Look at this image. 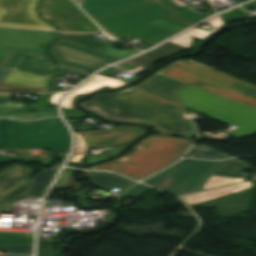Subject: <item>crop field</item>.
<instances>
[{"label":"crop field","mask_w":256,"mask_h":256,"mask_svg":"<svg viewBox=\"0 0 256 256\" xmlns=\"http://www.w3.org/2000/svg\"><path fill=\"white\" fill-rule=\"evenodd\" d=\"M158 73L256 109V87L196 61L177 60Z\"/></svg>","instance_id":"obj_4"},{"label":"crop field","mask_w":256,"mask_h":256,"mask_svg":"<svg viewBox=\"0 0 256 256\" xmlns=\"http://www.w3.org/2000/svg\"><path fill=\"white\" fill-rule=\"evenodd\" d=\"M57 170L58 168H53L45 171L39 175H36L33 179L23 183L17 189L0 200V211H10V206L12 203L20 198H24L23 196L31 190L30 182H32L33 191L30 194L28 193L29 195H27L25 198L42 197Z\"/></svg>","instance_id":"obj_14"},{"label":"crop field","mask_w":256,"mask_h":256,"mask_svg":"<svg viewBox=\"0 0 256 256\" xmlns=\"http://www.w3.org/2000/svg\"><path fill=\"white\" fill-rule=\"evenodd\" d=\"M38 256H53L49 245H38Z\"/></svg>","instance_id":"obj_40"},{"label":"crop field","mask_w":256,"mask_h":256,"mask_svg":"<svg viewBox=\"0 0 256 256\" xmlns=\"http://www.w3.org/2000/svg\"><path fill=\"white\" fill-rule=\"evenodd\" d=\"M24 149H52L53 153H67L69 134L59 118L21 122Z\"/></svg>","instance_id":"obj_7"},{"label":"crop field","mask_w":256,"mask_h":256,"mask_svg":"<svg viewBox=\"0 0 256 256\" xmlns=\"http://www.w3.org/2000/svg\"><path fill=\"white\" fill-rule=\"evenodd\" d=\"M51 80V78L11 69L2 82L10 84L47 87L48 83Z\"/></svg>","instance_id":"obj_21"},{"label":"crop field","mask_w":256,"mask_h":256,"mask_svg":"<svg viewBox=\"0 0 256 256\" xmlns=\"http://www.w3.org/2000/svg\"><path fill=\"white\" fill-rule=\"evenodd\" d=\"M49 49L58 63L90 72L120 60L59 39Z\"/></svg>","instance_id":"obj_9"},{"label":"crop field","mask_w":256,"mask_h":256,"mask_svg":"<svg viewBox=\"0 0 256 256\" xmlns=\"http://www.w3.org/2000/svg\"><path fill=\"white\" fill-rule=\"evenodd\" d=\"M66 118H73V117H88V115L77 112V111H63Z\"/></svg>","instance_id":"obj_41"},{"label":"crop field","mask_w":256,"mask_h":256,"mask_svg":"<svg viewBox=\"0 0 256 256\" xmlns=\"http://www.w3.org/2000/svg\"><path fill=\"white\" fill-rule=\"evenodd\" d=\"M35 115H40L41 117L44 116H52V115H57L55 111H46V112H22V113H4L0 114V116H10V117H15L22 119L24 117H29V116H35Z\"/></svg>","instance_id":"obj_35"},{"label":"crop field","mask_w":256,"mask_h":256,"mask_svg":"<svg viewBox=\"0 0 256 256\" xmlns=\"http://www.w3.org/2000/svg\"><path fill=\"white\" fill-rule=\"evenodd\" d=\"M18 160H24L25 162H29V161H32V160H38V161H40L41 163H46V164L53 162L52 159L40 160V159H36V158H32V157H27V156H22V157H21L20 159H18Z\"/></svg>","instance_id":"obj_42"},{"label":"crop field","mask_w":256,"mask_h":256,"mask_svg":"<svg viewBox=\"0 0 256 256\" xmlns=\"http://www.w3.org/2000/svg\"><path fill=\"white\" fill-rule=\"evenodd\" d=\"M193 141L166 135L148 137L137 144L132 154L88 168L114 171L142 180L179 159Z\"/></svg>","instance_id":"obj_3"},{"label":"crop field","mask_w":256,"mask_h":256,"mask_svg":"<svg viewBox=\"0 0 256 256\" xmlns=\"http://www.w3.org/2000/svg\"><path fill=\"white\" fill-rule=\"evenodd\" d=\"M151 187H147L144 185H136L133 188L127 190L126 192L122 193L128 197H133V198H137L140 195H142L144 192H146L147 190H149Z\"/></svg>","instance_id":"obj_37"},{"label":"crop field","mask_w":256,"mask_h":256,"mask_svg":"<svg viewBox=\"0 0 256 256\" xmlns=\"http://www.w3.org/2000/svg\"><path fill=\"white\" fill-rule=\"evenodd\" d=\"M134 3L121 0H84L82 7L93 17Z\"/></svg>","instance_id":"obj_20"},{"label":"crop field","mask_w":256,"mask_h":256,"mask_svg":"<svg viewBox=\"0 0 256 256\" xmlns=\"http://www.w3.org/2000/svg\"><path fill=\"white\" fill-rule=\"evenodd\" d=\"M183 50L187 49L168 42L158 47L157 49H154L140 57L134 58L129 61L147 67L170 53L179 52Z\"/></svg>","instance_id":"obj_22"},{"label":"crop field","mask_w":256,"mask_h":256,"mask_svg":"<svg viewBox=\"0 0 256 256\" xmlns=\"http://www.w3.org/2000/svg\"><path fill=\"white\" fill-rule=\"evenodd\" d=\"M245 179L240 178H228V177H216V176H210L206 184L204 185L203 189L211 188V187H217V186H223V185H229L234 184L236 182L244 181Z\"/></svg>","instance_id":"obj_30"},{"label":"crop field","mask_w":256,"mask_h":256,"mask_svg":"<svg viewBox=\"0 0 256 256\" xmlns=\"http://www.w3.org/2000/svg\"><path fill=\"white\" fill-rule=\"evenodd\" d=\"M186 108L238 126L231 132L236 138L256 134V109L227 100L194 87L178 91Z\"/></svg>","instance_id":"obj_5"},{"label":"crop field","mask_w":256,"mask_h":256,"mask_svg":"<svg viewBox=\"0 0 256 256\" xmlns=\"http://www.w3.org/2000/svg\"><path fill=\"white\" fill-rule=\"evenodd\" d=\"M2 197H0V199H1Z\"/></svg>","instance_id":"obj_51"},{"label":"crop field","mask_w":256,"mask_h":256,"mask_svg":"<svg viewBox=\"0 0 256 256\" xmlns=\"http://www.w3.org/2000/svg\"><path fill=\"white\" fill-rule=\"evenodd\" d=\"M29 111L25 103L21 102H0V113Z\"/></svg>","instance_id":"obj_32"},{"label":"crop field","mask_w":256,"mask_h":256,"mask_svg":"<svg viewBox=\"0 0 256 256\" xmlns=\"http://www.w3.org/2000/svg\"><path fill=\"white\" fill-rule=\"evenodd\" d=\"M85 154H86V153H84V154L74 155V156H72V158H71V160H70V161H72V162H76V163H80V162H82V161H80V160H81V158H82Z\"/></svg>","instance_id":"obj_45"},{"label":"crop field","mask_w":256,"mask_h":256,"mask_svg":"<svg viewBox=\"0 0 256 256\" xmlns=\"http://www.w3.org/2000/svg\"><path fill=\"white\" fill-rule=\"evenodd\" d=\"M1 66L54 78L60 69L48 56L8 51ZM64 70L88 76V72L58 64Z\"/></svg>","instance_id":"obj_12"},{"label":"crop field","mask_w":256,"mask_h":256,"mask_svg":"<svg viewBox=\"0 0 256 256\" xmlns=\"http://www.w3.org/2000/svg\"><path fill=\"white\" fill-rule=\"evenodd\" d=\"M86 176L94 186L106 189L108 191L112 190L115 187L124 190L129 186L135 184L132 181L121 178L115 174L106 172L87 171Z\"/></svg>","instance_id":"obj_19"},{"label":"crop field","mask_w":256,"mask_h":256,"mask_svg":"<svg viewBox=\"0 0 256 256\" xmlns=\"http://www.w3.org/2000/svg\"><path fill=\"white\" fill-rule=\"evenodd\" d=\"M95 51L102 52V53H105V54H108V55H111V56H114V57H117V58H120V59H123L125 57H128V56L134 54V53L139 52V51H137L135 49H133V50H126V51H118L117 49H115L112 46L101 48V49H97Z\"/></svg>","instance_id":"obj_33"},{"label":"crop field","mask_w":256,"mask_h":256,"mask_svg":"<svg viewBox=\"0 0 256 256\" xmlns=\"http://www.w3.org/2000/svg\"><path fill=\"white\" fill-rule=\"evenodd\" d=\"M206 23L214 26V28L210 31L194 28V29L186 32V34H189L191 36L205 40L211 33L215 32L218 27L224 26V22H223L221 16H218Z\"/></svg>","instance_id":"obj_27"},{"label":"crop field","mask_w":256,"mask_h":256,"mask_svg":"<svg viewBox=\"0 0 256 256\" xmlns=\"http://www.w3.org/2000/svg\"><path fill=\"white\" fill-rule=\"evenodd\" d=\"M184 85L156 73L120 92L96 95L81 106L108 120L144 123L160 133L193 137V126L184 120L173 93Z\"/></svg>","instance_id":"obj_1"},{"label":"crop field","mask_w":256,"mask_h":256,"mask_svg":"<svg viewBox=\"0 0 256 256\" xmlns=\"http://www.w3.org/2000/svg\"><path fill=\"white\" fill-rule=\"evenodd\" d=\"M10 160L0 158V163H8Z\"/></svg>","instance_id":"obj_47"},{"label":"crop field","mask_w":256,"mask_h":256,"mask_svg":"<svg viewBox=\"0 0 256 256\" xmlns=\"http://www.w3.org/2000/svg\"><path fill=\"white\" fill-rule=\"evenodd\" d=\"M58 38L90 48L97 49L105 46H109V44L94 34H65L58 33Z\"/></svg>","instance_id":"obj_24"},{"label":"crop field","mask_w":256,"mask_h":256,"mask_svg":"<svg viewBox=\"0 0 256 256\" xmlns=\"http://www.w3.org/2000/svg\"><path fill=\"white\" fill-rule=\"evenodd\" d=\"M36 7L37 0H0V26L56 30L38 17Z\"/></svg>","instance_id":"obj_11"},{"label":"crop field","mask_w":256,"mask_h":256,"mask_svg":"<svg viewBox=\"0 0 256 256\" xmlns=\"http://www.w3.org/2000/svg\"><path fill=\"white\" fill-rule=\"evenodd\" d=\"M239 3H241V2H243V1H245V0H237Z\"/></svg>","instance_id":"obj_50"},{"label":"crop field","mask_w":256,"mask_h":256,"mask_svg":"<svg viewBox=\"0 0 256 256\" xmlns=\"http://www.w3.org/2000/svg\"><path fill=\"white\" fill-rule=\"evenodd\" d=\"M23 149L20 124L18 120L0 118V150ZM1 157L17 160L19 157L1 155Z\"/></svg>","instance_id":"obj_15"},{"label":"crop field","mask_w":256,"mask_h":256,"mask_svg":"<svg viewBox=\"0 0 256 256\" xmlns=\"http://www.w3.org/2000/svg\"><path fill=\"white\" fill-rule=\"evenodd\" d=\"M33 233L0 232V246L32 244Z\"/></svg>","instance_id":"obj_26"},{"label":"crop field","mask_w":256,"mask_h":256,"mask_svg":"<svg viewBox=\"0 0 256 256\" xmlns=\"http://www.w3.org/2000/svg\"><path fill=\"white\" fill-rule=\"evenodd\" d=\"M192 39H193V37H191V36H188L186 34H181L180 36L170 40V42H173L175 44H178V45H181L183 47L189 48Z\"/></svg>","instance_id":"obj_38"},{"label":"crop field","mask_w":256,"mask_h":256,"mask_svg":"<svg viewBox=\"0 0 256 256\" xmlns=\"http://www.w3.org/2000/svg\"><path fill=\"white\" fill-rule=\"evenodd\" d=\"M249 188H251V181L241 183L238 185H234V186H230V187H225V188H220V189H215V190H210V191H205V192H200V193L182 195L181 197L185 200V202L189 206H191L194 204H198V203H201L204 201H208L211 199H215L218 197L236 193V192L246 190Z\"/></svg>","instance_id":"obj_18"},{"label":"crop field","mask_w":256,"mask_h":256,"mask_svg":"<svg viewBox=\"0 0 256 256\" xmlns=\"http://www.w3.org/2000/svg\"><path fill=\"white\" fill-rule=\"evenodd\" d=\"M0 100H6V95H0Z\"/></svg>","instance_id":"obj_48"},{"label":"crop field","mask_w":256,"mask_h":256,"mask_svg":"<svg viewBox=\"0 0 256 256\" xmlns=\"http://www.w3.org/2000/svg\"><path fill=\"white\" fill-rule=\"evenodd\" d=\"M144 133V130L135 126H119L115 129L79 133L88 142L89 147L114 146L125 144Z\"/></svg>","instance_id":"obj_13"},{"label":"crop field","mask_w":256,"mask_h":256,"mask_svg":"<svg viewBox=\"0 0 256 256\" xmlns=\"http://www.w3.org/2000/svg\"><path fill=\"white\" fill-rule=\"evenodd\" d=\"M0 251H8V254H32V245L5 246Z\"/></svg>","instance_id":"obj_34"},{"label":"crop field","mask_w":256,"mask_h":256,"mask_svg":"<svg viewBox=\"0 0 256 256\" xmlns=\"http://www.w3.org/2000/svg\"><path fill=\"white\" fill-rule=\"evenodd\" d=\"M41 17L58 30L102 32L71 0L40 2Z\"/></svg>","instance_id":"obj_8"},{"label":"crop field","mask_w":256,"mask_h":256,"mask_svg":"<svg viewBox=\"0 0 256 256\" xmlns=\"http://www.w3.org/2000/svg\"><path fill=\"white\" fill-rule=\"evenodd\" d=\"M29 168L15 165L0 174V196L4 197L23 182L29 180Z\"/></svg>","instance_id":"obj_17"},{"label":"crop field","mask_w":256,"mask_h":256,"mask_svg":"<svg viewBox=\"0 0 256 256\" xmlns=\"http://www.w3.org/2000/svg\"><path fill=\"white\" fill-rule=\"evenodd\" d=\"M248 164L237 159L220 162L212 175L245 178Z\"/></svg>","instance_id":"obj_23"},{"label":"crop field","mask_w":256,"mask_h":256,"mask_svg":"<svg viewBox=\"0 0 256 256\" xmlns=\"http://www.w3.org/2000/svg\"><path fill=\"white\" fill-rule=\"evenodd\" d=\"M176 12L158 0H146L93 19L117 39L135 38L153 45L191 25L172 15Z\"/></svg>","instance_id":"obj_2"},{"label":"crop field","mask_w":256,"mask_h":256,"mask_svg":"<svg viewBox=\"0 0 256 256\" xmlns=\"http://www.w3.org/2000/svg\"><path fill=\"white\" fill-rule=\"evenodd\" d=\"M125 84L127 83L96 74L90 80H88L85 84H83L81 87L69 93L65 97L62 107L67 109H74L73 98L78 93L88 94L104 86H107L110 88H116V87H121Z\"/></svg>","instance_id":"obj_16"},{"label":"crop field","mask_w":256,"mask_h":256,"mask_svg":"<svg viewBox=\"0 0 256 256\" xmlns=\"http://www.w3.org/2000/svg\"><path fill=\"white\" fill-rule=\"evenodd\" d=\"M217 165L213 161L185 159L144 183L172 194L195 192L201 190Z\"/></svg>","instance_id":"obj_6"},{"label":"crop field","mask_w":256,"mask_h":256,"mask_svg":"<svg viewBox=\"0 0 256 256\" xmlns=\"http://www.w3.org/2000/svg\"><path fill=\"white\" fill-rule=\"evenodd\" d=\"M55 33L0 28V64L8 50L43 54Z\"/></svg>","instance_id":"obj_10"},{"label":"crop field","mask_w":256,"mask_h":256,"mask_svg":"<svg viewBox=\"0 0 256 256\" xmlns=\"http://www.w3.org/2000/svg\"><path fill=\"white\" fill-rule=\"evenodd\" d=\"M160 1H162L163 3L169 5L170 7L174 8V9L180 11V12L174 14V15H176V16H178V17H180V18H182V19H184V20H186V21H188L192 24L201 20V19H203V18H205L208 15H211V14L215 13V12L209 10V11L201 14V13L193 10L192 8L188 9L184 6L179 7V6L169 2L168 0H160Z\"/></svg>","instance_id":"obj_25"},{"label":"crop field","mask_w":256,"mask_h":256,"mask_svg":"<svg viewBox=\"0 0 256 256\" xmlns=\"http://www.w3.org/2000/svg\"><path fill=\"white\" fill-rule=\"evenodd\" d=\"M10 69L0 67V81L6 76Z\"/></svg>","instance_id":"obj_46"},{"label":"crop field","mask_w":256,"mask_h":256,"mask_svg":"<svg viewBox=\"0 0 256 256\" xmlns=\"http://www.w3.org/2000/svg\"><path fill=\"white\" fill-rule=\"evenodd\" d=\"M205 147H207V146H205V145H194L192 147V149L187 153L186 157L196 153L197 151H199V150H201V149H203Z\"/></svg>","instance_id":"obj_44"},{"label":"crop field","mask_w":256,"mask_h":256,"mask_svg":"<svg viewBox=\"0 0 256 256\" xmlns=\"http://www.w3.org/2000/svg\"><path fill=\"white\" fill-rule=\"evenodd\" d=\"M47 95L48 94L38 95L40 99L37 101V103L30 106V108L35 111L55 110L54 108H50L48 106V103L46 102Z\"/></svg>","instance_id":"obj_36"},{"label":"crop field","mask_w":256,"mask_h":256,"mask_svg":"<svg viewBox=\"0 0 256 256\" xmlns=\"http://www.w3.org/2000/svg\"><path fill=\"white\" fill-rule=\"evenodd\" d=\"M128 1L140 2V1H143V0H128Z\"/></svg>","instance_id":"obj_49"},{"label":"crop field","mask_w":256,"mask_h":256,"mask_svg":"<svg viewBox=\"0 0 256 256\" xmlns=\"http://www.w3.org/2000/svg\"><path fill=\"white\" fill-rule=\"evenodd\" d=\"M87 150H89V149H88L85 139L77 133L76 134V147H75L74 153H80V152H84Z\"/></svg>","instance_id":"obj_39"},{"label":"crop field","mask_w":256,"mask_h":256,"mask_svg":"<svg viewBox=\"0 0 256 256\" xmlns=\"http://www.w3.org/2000/svg\"><path fill=\"white\" fill-rule=\"evenodd\" d=\"M71 171L72 170L70 169H65L63 171L54 189H67V188H74V187L80 186L72 177Z\"/></svg>","instance_id":"obj_29"},{"label":"crop field","mask_w":256,"mask_h":256,"mask_svg":"<svg viewBox=\"0 0 256 256\" xmlns=\"http://www.w3.org/2000/svg\"><path fill=\"white\" fill-rule=\"evenodd\" d=\"M192 158H202V159H210V160H220L224 158H230V156L223 154L219 151H216L210 147H207L198 153L190 156Z\"/></svg>","instance_id":"obj_31"},{"label":"crop field","mask_w":256,"mask_h":256,"mask_svg":"<svg viewBox=\"0 0 256 256\" xmlns=\"http://www.w3.org/2000/svg\"><path fill=\"white\" fill-rule=\"evenodd\" d=\"M64 94V93H53L51 94V96L49 97V101L51 103V105L56 106V103L58 101V99L60 98V96Z\"/></svg>","instance_id":"obj_43"},{"label":"crop field","mask_w":256,"mask_h":256,"mask_svg":"<svg viewBox=\"0 0 256 256\" xmlns=\"http://www.w3.org/2000/svg\"><path fill=\"white\" fill-rule=\"evenodd\" d=\"M0 92L16 93V92H48V88L20 86L0 83Z\"/></svg>","instance_id":"obj_28"}]
</instances>
